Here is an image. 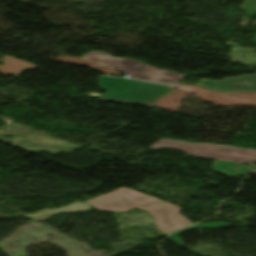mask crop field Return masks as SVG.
<instances>
[{"label": "crop field", "mask_w": 256, "mask_h": 256, "mask_svg": "<svg viewBox=\"0 0 256 256\" xmlns=\"http://www.w3.org/2000/svg\"><path fill=\"white\" fill-rule=\"evenodd\" d=\"M101 210L125 211L141 208L155 218V225L165 234L192 225L179 215L181 208L121 187L98 198L86 202Z\"/></svg>", "instance_id": "crop-field-1"}, {"label": "crop field", "mask_w": 256, "mask_h": 256, "mask_svg": "<svg viewBox=\"0 0 256 256\" xmlns=\"http://www.w3.org/2000/svg\"><path fill=\"white\" fill-rule=\"evenodd\" d=\"M99 85L107 90L105 95L88 93L87 96L126 103L135 101L151 107L171 89L170 86L104 76H99Z\"/></svg>", "instance_id": "crop-field-2"}, {"label": "crop field", "mask_w": 256, "mask_h": 256, "mask_svg": "<svg viewBox=\"0 0 256 256\" xmlns=\"http://www.w3.org/2000/svg\"><path fill=\"white\" fill-rule=\"evenodd\" d=\"M82 58L100 66L125 73L135 79L174 85L185 77V75L158 70L137 61L114 58L100 52H91Z\"/></svg>", "instance_id": "crop-field-3"}, {"label": "crop field", "mask_w": 256, "mask_h": 256, "mask_svg": "<svg viewBox=\"0 0 256 256\" xmlns=\"http://www.w3.org/2000/svg\"><path fill=\"white\" fill-rule=\"evenodd\" d=\"M172 148L186 152L188 155L236 162L250 163L256 162V150L218 146L211 144L182 143L163 139L149 147V149Z\"/></svg>", "instance_id": "crop-field-4"}, {"label": "crop field", "mask_w": 256, "mask_h": 256, "mask_svg": "<svg viewBox=\"0 0 256 256\" xmlns=\"http://www.w3.org/2000/svg\"><path fill=\"white\" fill-rule=\"evenodd\" d=\"M247 81H252V85H246ZM214 81L203 79L199 86L207 88L212 91L227 93V94H240L247 92H256V74L247 75L243 77L233 78L224 81Z\"/></svg>", "instance_id": "crop-field-5"}, {"label": "crop field", "mask_w": 256, "mask_h": 256, "mask_svg": "<svg viewBox=\"0 0 256 256\" xmlns=\"http://www.w3.org/2000/svg\"><path fill=\"white\" fill-rule=\"evenodd\" d=\"M227 166H231V168H228ZM235 166H240V170H234ZM210 171L225 175V176H241L245 175L252 170L246 168L243 165L236 164V163H229V162H222L218 161L211 169Z\"/></svg>", "instance_id": "crop-field-6"}, {"label": "crop field", "mask_w": 256, "mask_h": 256, "mask_svg": "<svg viewBox=\"0 0 256 256\" xmlns=\"http://www.w3.org/2000/svg\"><path fill=\"white\" fill-rule=\"evenodd\" d=\"M226 227V224L225 223H199V224H196L190 228H187L185 230H188V229H198V228H224ZM185 230H182L172 236L169 237L170 240H172L176 245H178L179 247H182L184 246L180 240L178 239L177 235Z\"/></svg>", "instance_id": "crop-field-7"}, {"label": "crop field", "mask_w": 256, "mask_h": 256, "mask_svg": "<svg viewBox=\"0 0 256 256\" xmlns=\"http://www.w3.org/2000/svg\"><path fill=\"white\" fill-rule=\"evenodd\" d=\"M242 8L246 13L256 15V0H247Z\"/></svg>", "instance_id": "crop-field-8"}]
</instances>
